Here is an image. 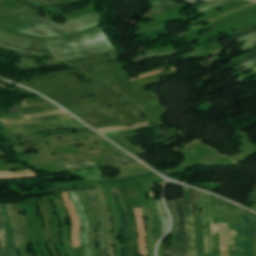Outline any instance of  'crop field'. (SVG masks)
<instances>
[{"label": "crop field", "mask_w": 256, "mask_h": 256, "mask_svg": "<svg viewBox=\"0 0 256 256\" xmlns=\"http://www.w3.org/2000/svg\"><path fill=\"white\" fill-rule=\"evenodd\" d=\"M230 256H256V214L226 201Z\"/></svg>", "instance_id": "8a807250"}, {"label": "crop field", "mask_w": 256, "mask_h": 256, "mask_svg": "<svg viewBox=\"0 0 256 256\" xmlns=\"http://www.w3.org/2000/svg\"><path fill=\"white\" fill-rule=\"evenodd\" d=\"M48 48L64 61L114 49L101 28L70 39L48 41Z\"/></svg>", "instance_id": "ac0d7876"}, {"label": "crop field", "mask_w": 256, "mask_h": 256, "mask_svg": "<svg viewBox=\"0 0 256 256\" xmlns=\"http://www.w3.org/2000/svg\"><path fill=\"white\" fill-rule=\"evenodd\" d=\"M0 14L30 24V26L27 28L28 30H43L44 33L51 35L67 33L69 31L87 26L100 20L99 15L96 12H93L86 16H82L77 19L71 20L67 22L66 25H58L56 23L42 20L31 15L22 13L20 11L14 10L2 4H0Z\"/></svg>", "instance_id": "34b2d1b8"}, {"label": "crop field", "mask_w": 256, "mask_h": 256, "mask_svg": "<svg viewBox=\"0 0 256 256\" xmlns=\"http://www.w3.org/2000/svg\"><path fill=\"white\" fill-rule=\"evenodd\" d=\"M86 127L75 118L57 119L32 124L7 125V136L30 135L54 130L56 128L75 129ZM64 129V130H65Z\"/></svg>", "instance_id": "412701ff"}, {"label": "crop field", "mask_w": 256, "mask_h": 256, "mask_svg": "<svg viewBox=\"0 0 256 256\" xmlns=\"http://www.w3.org/2000/svg\"><path fill=\"white\" fill-rule=\"evenodd\" d=\"M69 193L80 219V241L82 244L84 256H91L89 247H88V242H87V233H88L87 216L85 214L82 203L77 193L76 192H69Z\"/></svg>", "instance_id": "f4fd0767"}, {"label": "crop field", "mask_w": 256, "mask_h": 256, "mask_svg": "<svg viewBox=\"0 0 256 256\" xmlns=\"http://www.w3.org/2000/svg\"><path fill=\"white\" fill-rule=\"evenodd\" d=\"M184 205H185V218H186V228H187V236H188V252H191L192 246V253H188V256H196V247H195V230H194V215L193 213H189L190 219V233H191V246H190V233H189V219H188V212H192L191 209V193L190 189L184 188Z\"/></svg>", "instance_id": "dd49c442"}, {"label": "crop field", "mask_w": 256, "mask_h": 256, "mask_svg": "<svg viewBox=\"0 0 256 256\" xmlns=\"http://www.w3.org/2000/svg\"><path fill=\"white\" fill-rule=\"evenodd\" d=\"M88 199L92 202V208L95 210L96 217H97V224H98V234H97V242L100 243L101 248H99L101 256H108L106 245H105V238H104V216L103 213L95 199L93 191H85Z\"/></svg>", "instance_id": "e52e79f7"}, {"label": "crop field", "mask_w": 256, "mask_h": 256, "mask_svg": "<svg viewBox=\"0 0 256 256\" xmlns=\"http://www.w3.org/2000/svg\"><path fill=\"white\" fill-rule=\"evenodd\" d=\"M111 191H112L114 200H115L118 208L121 211L120 220H121V228H122V237L126 238L127 241L130 243V238H129V235H128V232H129L128 220H127L125 209L123 207L122 199H121L120 194H119V190L114 189V190H111ZM123 246H124L125 256H131V250H130L129 244H125Z\"/></svg>", "instance_id": "d8731c3e"}, {"label": "crop field", "mask_w": 256, "mask_h": 256, "mask_svg": "<svg viewBox=\"0 0 256 256\" xmlns=\"http://www.w3.org/2000/svg\"><path fill=\"white\" fill-rule=\"evenodd\" d=\"M209 207H210V221L212 226V250H214L220 247L219 225H218V217H217V197L210 195Z\"/></svg>", "instance_id": "5a996713"}, {"label": "crop field", "mask_w": 256, "mask_h": 256, "mask_svg": "<svg viewBox=\"0 0 256 256\" xmlns=\"http://www.w3.org/2000/svg\"><path fill=\"white\" fill-rule=\"evenodd\" d=\"M176 204H177V210H178L180 256H187L183 199L181 201H176Z\"/></svg>", "instance_id": "3316defc"}, {"label": "crop field", "mask_w": 256, "mask_h": 256, "mask_svg": "<svg viewBox=\"0 0 256 256\" xmlns=\"http://www.w3.org/2000/svg\"><path fill=\"white\" fill-rule=\"evenodd\" d=\"M167 206L172 214L173 220V228L170 232L173 240L172 246V256H179V242H178V234H177V211L175 201H167Z\"/></svg>", "instance_id": "28ad6ade"}, {"label": "crop field", "mask_w": 256, "mask_h": 256, "mask_svg": "<svg viewBox=\"0 0 256 256\" xmlns=\"http://www.w3.org/2000/svg\"><path fill=\"white\" fill-rule=\"evenodd\" d=\"M0 207L2 210L3 218H4V225L6 229V235H7L10 251L12 255H18L16 250V245H15L13 227L9 218L7 207L6 205H0Z\"/></svg>", "instance_id": "d1516ede"}, {"label": "crop field", "mask_w": 256, "mask_h": 256, "mask_svg": "<svg viewBox=\"0 0 256 256\" xmlns=\"http://www.w3.org/2000/svg\"><path fill=\"white\" fill-rule=\"evenodd\" d=\"M7 33V32H6ZM0 31V42L15 46L21 49H26L31 40L12 36Z\"/></svg>", "instance_id": "22f410ed"}, {"label": "crop field", "mask_w": 256, "mask_h": 256, "mask_svg": "<svg viewBox=\"0 0 256 256\" xmlns=\"http://www.w3.org/2000/svg\"><path fill=\"white\" fill-rule=\"evenodd\" d=\"M10 213V218L14 226L15 239L17 246H22V234L19 227L18 219L15 213L14 205H7Z\"/></svg>", "instance_id": "cbeb9de0"}, {"label": "crop field", "mask_w": 256, "mask_h": 256, "mask_svg": "<svg viewBox=\"0 0 256 256\" xmlns=\"http://www.w3.org/2000/svg\"><path fill=\"white\" fill-rule=\"evenodd\" d=\"M149 201H150L151 211L153 215V222H154V229H155V243H157L158 240L162 237L159 215H158L156 202L152 200H149Z\"/></svg>", "instance_id": "5142ce71"}, {"label": "crop field", "mask_w": 256, "mask_h": 256, "mask_svg": "<svg viewBox=\"0 0 256 256\" xmlns=\"http://www.w3.org/2000/svg\"><path fill=\"white\" fill-rule=\"evenodd\" d=\"M66 173H69L71 175L77 176V177L85 179V180L104 179L101 176L99 169L81 171V172H66ZM108 179H113V178H108Z\"/></svg>", "instance_id": "d9b57169"}, {"label": "crop field", "mask_w": 256, "mask_h": 256, "mask_svg": "<svg viewBox=\"0 0 256 256\" xmlns=\"http://www.w3.org/2000/svg\"><path fill=\"white\" fill-rule=\"evenodd\" d=\"M89 134H95V133L93 131H91V132L76 133V134H71V135H57V136H51V137H46V138L36 139V140H30V141H12V144H13V146H17V145L24 144V143H35V142L50 140V139H54V138L85 136V135H89Z\"/></svg>", "instance_id": "733c2abd"}, {"label": "crop field", "mask_w": 256, "mask_h": 256, "mask_svg": "<svg viewBox=\"0 0 256 256\" xmlns=\"http://www.w3.org/2000/svg\"><path fill=\"white\" fill-rule=\"evenodd\" d=\"M176 74H178L177 71H170V72H166V73L156 74V75L150 76L148 78L132 82L131 87L142 85V84L149 83V82H153L156 80H160L162 77L172 76V75H176Z\"/></svg>", "instance_id": "4a817a6b"}, {"label": "crop field", "mask_w": 256, "mask_h": 256, "mask_svg": "<svg viewBox=\"0 0 256 256\" xmlns=\"http://www.w3.org/2000/svg\"><path fill=\"white\" fill-rule=\"evenodd\" d=\"M104 159L107 163V166L124 165L126 163H136V161L132 159L130 156L104 158Z\"/></svg>", "instance_id": "bc2a9ffb"}, {"label": "crop field", "mask_w": 256, "mask_h": 256, "mask_svg": "<svg viewBox=\"0 0 256 256\" xmlns=\"http://www.w3.org/2000/svg\"><path fill=\"white\" fill-rule=\"evenodd\" d=\"M37 176L30 170L16 171V172H0V178H19V177H30Z\"/></svg>", "instance_id": "214f88e0"}, {"label": "crop field", "mask_w": 256, "mask_h": 256, "mask_svg": "<svg viewBox=\"0 0 256 256\" xmlns=\"http://www.w3.org/2000/svg\"><path fill=\"white\" fill-rule=\"evenodd\" d=\"M159 207V213H160V218H161V223H162V233L164 234L169 226V218L168 215L164 209L162 200L156 201Z\"/></svg>", "instance_id": "92a150f3"}, {"label": "crop field", "mask_w": 256, "mask_h": 256, "mask_svg": "<svg viewBox=\"0 0 256 256\" xmlns=\"http://www.w3.org/2000/svg\"><path fill=\"white\" fill-rule=\"evenodd\" d=\"M78 131H87L90 130L89 128H85V129H75ZM74 130H70V131H55V132H49V133H44V134H38V135H34V136H24V137H15L16 139H12L14 137L11 138H7L8 140H17V139H33V138H37V137H42V136H46V135H55V134H66V133H71Z\"/></svg>", "instance_id": "dafd665d"}, {"label": "crop field", "mask_w": 256, "mask_h": 256, "mask_svg": "<svg viewBox=\"0 0 256 256\" xmlns=\"http://www.w3.org/2000/svg\"><path fill=\"white\" fill-rule=\"evenodd\" d=\"M0 238H1V242H2V246H3L5 256H11V254L9 252L8 244H7L6 235H5V230H4V226H3V218H2V215H1V211H0Z\"/></svg>", "instance_id": "00972430"}, {"label": "crop field", "mask_w": 256, "mask_h": 256, "mask_svg": "<svg viewBox=\"0 0 256 256\" xmlns=\"http://www.w3.org/2000/svg\"><path fill=\"white\" fill-rule=\"evenodd\" d=\"M182 52H185V51H178L176 49H173V50H169L167 52L158 53V54H160V56H167V55H172V54H177V53H182ZM155 55L156 54L145 55V56H141V57L131 59V61H135V62L139 63V62L145 61V60L153 58V57H160V56H155Z\"/></svg>", "instance_id": "a9b5d70f"}, {"label": "crop field", "mask_w": 256, "mask_h": 256, "mask_svg": "<svg viewBox=\"0 0 256 256\" xmlns=\"http://www.w3.org/2000/svg\"><path fill=\"white\" fill-rule=\"evenodd\" d=\"M102 189L100 186L97 187H72V188H58V189H49L46 192H66V191H81V190H98Z\"/></svg>", "instance_id": "4177f3b9"}, {"label": "crop field", "mask_w": 256, "mask_h": 256, "mask_svg": "<svg viewBox=\"0 0 256 256\" xmlns=\"http://www.w3.org/2000/svg\"><path fill=\"white\" fill-rule=\"evenodd\" d=\"M219 223H226L225 201L218 198Z\"/></svg>", "instance_id": "730fd06b"}, {"label": "crop field", "mask_w": 256, "mask_h": 256, "mask_svg": "<svg viewBox=\"0 0 256 256\" xmlns=\"http://www.w3.org/2000/svg\"><path fill=\"white\" fill-rule=\"evenodd\" d=\"M147 125H148V123L145 122V123L133 125V126H130V127L106 128V129H99V131L106 132V131H115V130H128V129H135V128L144 127V126H147Z\"/></svg>", "instance_id": "eef30255"}, {"label": "crop field", "mask_w": 256, "mask_h": 256, "mask_svg": "<svg viewBox=\"0 0 256 256\" xmlns=\"http://www.w3.org/2000/svg\"><path fill=\"white\" fill-rule=\"evenodd\" d=\"M181 5H183V4L177 3V4H174V5H172V6H169V7L160 9V10H157V11H155V12H152V13L147 14V15L145 16V18L147 19V18L153 17V16H155V15H158V14H161V13H164V12H167V11H170V10H173V9H175V8L181 6Z\"/></svg>", "instance_id": "ae1a2a85"}, {"label": "crop field", "mask_w": 256, "mask_h": 256, "mask_svg": "<svg viewBox=\"0 0 256 256\" xmlns=\"http://www.w3.org/2000/svg\"><path fill=\"white\" fill-rule=\"evenodd\" d=\"M99 24H100V22L95 23V24H92V25H89V26H87V27H84V28H81V29H78V30H75V31H73V32L81 31V30H84V29H87V28H90V27H93V26H96V25H99ZM15 30H16V31H20V32H24V33L33 34V35H38V36L53 37V36H49V35H40V34L35 33V32H33V31H27V30L19 29V28H16ZM73 32H71V33H73ZM71 33H69V34H71ZM66 35H68V34H66ZM60 36H64V35H60Z\"/></svg>", "instance_id": "d3111659"}, {"label": "crop field", "mask_w": 256, "mask_h": 256, "mask_svg": "<svg viewBox=\"0 0 256 256\" xmlns=\"http://www.w3.org/2000/svg\"><path fill=\"white\" fill-rule=\"evenodd\" d=\"M63 168H70V167H86V166H93L95 165L94 162L91 163H81V162H76V163H66V164H57Z\"/></svg>", "instance_id": "750c4746"}, {"label": "crop field", "mask_w": 256, "mask_h": 256, "mask_svg": "<svg viewBox=\"0 0 256 256\" xmlns=\"http://www.w3.org/2000/svg\"><path fill=\"white\" fill-rule=\"evenodd\" d=\"M254 32H256V26L251 27V28H248V29H246V30H243V31H241V32H239V33H236V34H233V35H231V36H232L233 38H235V39H238V38H241V37H243V36L252 34V33H254Z\"/></svg>", "instance_id": "bd1437ed"}, {"label": "crop field", "mask_w": 256, "mask_h": 256, "mask_svg": "<svg viewBox=\"0 0 256 256\" xmlns=\"http://www.w3.org/2000/svg\"><path fill=\"white\" fill-rule=\"evenodd\" d=\"M254 58H256V54H255V55H252V56H250V57H247V58H245V59H242V60H240V61H237V62H235V63H232V64H230V65L224 67L223 69H225V70L228 71V70H230V69H232V68H234V67H236V66H238V65H240V64L246 63V62H248V61H250V60H252V59H254Z\"/></svg>", "instance_id": "1d83c4d3"}, {"label": "crop field", "mask_w": 256, "mask_h": 256, "mask_svg": "<svg viewBox=\"0 0 256 256\" xmlns=\"http://www.w3.org/2000/svg\"><path fill=\"white\" fill-rule=\"evenodd\" d=\"M150 175H153V174L152 173H148V174L138 175V176H134V177L126 178V179L105 180V181H98V182H100V183H109V182L131 181V180H134V179L139 178V177H145V176H150Z\"/></svg>", "instance_id": "120bbe31"}, {"label": "crop field", "mask_w": 256, "mask_h": 256, "mask_svg": "<svg viewBox=\"0 0 256 256\" xmlns=\"http://www.w3.org/2000/svg\"><path fill=\"white\" fill-rule=\"evenodd\" d=\"M162 31H166V32L158 33V34H154V35L151 34V33L162 32ZM166 33H168L166 28H162V29H158V30H154V31L146 32V33H141L138 35H143V34H148V35L142 36V37L138 38L137 40L142 39V38H147V37H153L155 35L158 36V35H162V34H166ZM135 36H137V35H135Z\"/></svg>", "instance_id": "d32e631a"}, {"label": "crop field", "mask_w": 256, "mask_h": 256, "mask_svg": "<svg viewBox=\"0 0 256 256\" xmlns=\"http://www.w3.org/2000/svg\"><path fill=\"white\" fill-rule=\"evenodd\" d=\"M54 114H66V113L64 111H62V110H59V111H54V112H50V113H43V114H36V115L25 116V119L41 117V116H47V115H54Z\"/></svg>", "instance_id": "5866460e"}, {"label": "crop field", "mask_w": 256, "mask_h": 256, "mask_svg": "<svg viewBox=\"0 0 256 256\" xmlns=\"http://www.w3.org/2000/svg\"><path fill=\"white\" fill-rule=\"evenodd\" d=\"M0 47L11 49V50H15V51H19V52H23V53H29V54L51 55L50 53H38V52H30V51L18 50V49L12 48L10 46H7V45L1 44V43H0Z\"/></svg>", "instance_id": "028f5c9d"}, {"label": "crop field", "mask_w": 256, "mask_h": 256, "mask_svg": "<svg viewBox=\"0 0 256 256\" xmlns=\"http://www.w3.org/2000/svg\"><path fill=\"white\" fill-rule=\"evenodd\" d=\"M226 1H228V0H220V1L216 2V3H214V4H211V5H209V6L205 7V8H202V9L197 10V11H198V13L203 12V11L211 9V8L217 6V5H220V4H222V3L226 2Z\"/></svg>", "instance_id": "e1f06a70"}, {"label": "crop field", "mask_w": 256, "mask_h": 256, "mask_svg": "<svg viewBox=\"0 0 256 256\" xmlns=\"http://www.w3.org/2000/svg\"><path fill=\"white\" fill-rule=\"evenodd\" d=\"M254 68H256V64L251 65V66H249V67H246V68H244V69L238 71V72L235 73L234 75L239 76V75H241V74H243V73H245V72H247V71H250V70H252V69H254Z\"/></svg>", "instance_id": "0bd39190"}, {"label": "crop field", "mask_w": 256, "mask_h": 256, "mask_svg": "<svg viewBox=\"0 0 256 256\" xmlns=\"http://www.w3.org/2000/svg\"><path fill=\"white\" fill-rule=\"evenodd\" d=\"M255 44H256V39L244 43L243 46H242V51H244V50L250 48L251 46H253V45H255Z\"/></svg>", "instance_id": "b80d0937"}, {"label": "crop field", "mask_w": 256, "mask_h": 256, "mask_svg": "<svg viewBox=\"0 0 256 256\" xmlns=\"http://www.w3.org/2000/svg\"><path fill=\"white\" fill-rule=\"evenodd\" d=\"M171 4H174V2H172V1L165 2V3L161 4V5L152 7V8H151V11H154V10H157V9H160V8H163V7L168 6V5H171Z\"/></svg>", "instance_id": "c035e120"}, {"label": "crop field", "mask_w": 256, "mask_h": 256, "mask_svg": "<svg viewBox=\"0 0 256 256\" xmlns=\"http://www.w3.org/2000/svg\"><path fill=\"white\" fill-rule=\"evenodd\" d=\"M175 69H176V68H171V70H175ZM165 70H166V69H165ZM167 71H169V70H167ZM160 72H165V71H164V70H161V71H156V72L144 74V75H141L139 78H134V79H131V80L133 81V80L141 79V78L147 77V76H149V75L156 74V73H160Z\"/></svg>", "instance_id": "c21b1889"}, {"label": "crop field", "mask_w": 256, "mask_h": 256, "mask_svg": "<svg viewBox=\"0 0 256 256\" xmlns=\"http://www.w3.org/2000/svg\"><path fill=\"white\" fill-rule=\"evenodd\" d=\"M164 256H171V246H166L164 244Z\"/></svg>", "instance_id": "03da06ac"}, {"label": "crop field", "mask_w": 256, "mask_h": 256, "mask_svg": "<svg viewBox=\"0 0 256 256\" xmlns=\"http://www.w3.org/2000/svg\"><path fill=\"white\" fill-rule=\"evenodd\" d=\"M255 200H256V190L251 194V196L247 202L254 203Z\"/></svg>", "instance_id": "b54c1fbb"}, {"label": "crop field", "mask_w": 256, "mask_h": 256, "mask_svg": "<svg viewBox=\"0 0 256 256\" xmlns=\"http://www.w3.org/2000/svg\"><path fill=\"white\" fill-rule=\"evenodd\" d=\"M254 63H256V60L250 61V62H248V63H246V64H243V65H241V66H239V67H236L235 69L239 70V69H241V68H243V67H246V66L251 65V64H254Z\"/></svg>", "instance_id": "5d738f31"}, {"label": "crop field", "mask_w": 256, "mask_h": 256, "mask_svg": "<svg viewBox=\"0 0 256 256\" xmlns=\"http://www.w3.org/2000/svg\"><path fill=\"white\" fill-rule=\"evenodd\" d=\"M254 73H256V69H255V71L252 72V73H247V74H245V75L239 77L240 82H241L242 80H244L246 77H248V76H250V75H252V74H254Z\"/></svg>", "instance_id": "d23c7cc5"}, {"label": "crop field", "mask_w": 256, "mask_h": 256, "mask_svg": "<svg viewBox=\"0 0 256 256\" xmlns=\"http://www.w3.org/2000/svg\"><path fill=\"white\" fill-rule=\"evenodd\" d=\"M56 116H65V115H54V116H47V117L36 118V119H31V120H38V119H44V118H50V117H56ZM31 120H24V121H31Z\"/></svg>", "instance_id": "425ffa30"}, {"label": "crop field", "mask_w": 256, "mask_h": 256, "mask_svg": "<svg viewBox=\"0 0 256 256\" xmlns=\"http://www.w3.org/2000/svg\"><path fill=\"white\" fill-rule=\"evenodd\" d=\"M165 1H168V0H158V1L153 2V3H150V4H152L153 6H155V5H157V4H159V3H162V2H165Z\"/></svg>", "instance_id": "25e5ab78"}, {"label": "crop field", "mask_w": 256, "mask_h": 256, "mask_svg": "<svg viewBox=\"0 0 256 256\" xmlns=\"http://www.w3.org/2000/svg\"><path fill=\"white\" fill-rule=\"evenodd\" d=\"M104 134H106V135H115V134H120V132L119 131L118 132H107V133H104Z\"/></svg>", "instance_id": "73cf0c24"}, {"label": "crop field", "mask_w": 256, "mask_h": 256, "mask_svg": "<svg viewBox=\"0 0 256 256\" xmlns=\"http://www.w3.org/2000/svg\"><path fill=\"white\" fill-rule=\"evenodd\" d=\"M213 256H220V249L213 252Z\"/></svg>", "instance_id": "89e229c0"}, {"label": "crop field", "mask_w": 256, "mask_h": 256, "mask_svg": "<svg viewBox=\"0 0 256 256\" xmlns=\"http://www.w3.org/2000/svg\"><path fill=\"white\" fill-rule=\"evenodd\" d=\"M0 256H4L3 251H2V247H1V243H0Z\"/></svg>", "instance_id": "1f2cbd36"}, {"label": "crop field", "mask_w": 256, "mask_h": 256, "mask_svg": "<svg viewBox=\"0 0 256 256\" xmlns=\"http://www.w3.org/2000/svg\"><path fill=\"white\" fill-rule=\"evenodd\" d=\"M31 1H35V2H38V3H43L44 0H31Z\"/></svg>", "instance_id": "dbb93151"}, {"label": "crop field", "mask_w": 256, "mask_h": 256, "mask_svg": "<svg viewBox=\"0 0 256 256\" xmlns=\"http://www.w3.org/2000/svg\"><path fill=\"white\" fill-rule=\"evenodd\" d=\"M253 35H256V33H254V34H252V35H249V36H246V37H244V38L238 39V41H240V40H242V39H245V38H247V37L253 36Z\"/></svg>", "instance_id": "0fb4a251"}, {"label": "crop field", "mask_w": 256, "mask_h": 256, "mask_svg": "<svg viewBox=\"0 0 256 256\" xmlns=\"http://www.w3.org/2000/svg\"><path fill=\"white\" fill-rule=\"evenodd\" d=\"M252 38H256V36H254V37H250V38H247V39H245V40L241 41L240 43H242V42H244V41H246V40L252 39Z\"/></svg>", "instance_id": "1d79db26"}, {"label": "crop field", "mask_w": 256, "mask_h": 256, "mask_svg": "<svg viewBox=\"0 0 256 256\" xmlns=\"http://www.w3.org/2000/svg\"><path fill=\"white\" fill-rule=\"evenodd\" d=\"M0 155H3V153H2V152H0Z\"/></svg>", "instance_id": "9d1cf04e"}, {"label": "crop field", "mask_w": 256, "mask_h": 256, "mask_svg": "<svg viewBox=\"0 0 256 256\" xmlns=\"http://www.w3.org/2000/svg\"><path fill=\"white\" fill-rule=\"evenodd\" d=\"M254 9H256V8H254Z\"/></svg>", "instance_id": "447ae74e"}]
</instances>
